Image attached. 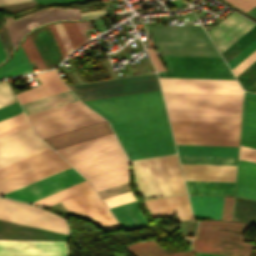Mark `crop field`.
Wrapping results in <instances>:
<instances>
[{
    "mask_svg": "<svg viewBox=\"0 0 256 256\" xmlns=\"http://www.w3.org/2000/svg\"><path fill=\"white\" fill-rule=\"evenodd\" d=\"M68 167L70 165L49 148L0 168V193L10 192ZM83 181L85 179L70 167L2 196L32 203L73 187ZM78 188L108 228L119 226V223L87 181L78 185ZM78 188L75 186L34 202V204L49 207L61 201L68 210L92 218L107 228Z\"/></svg>",
    "mask_w": 256,
    "mask_h": 256,
    "instance_id": "crop-field-1",
    "label": "crop field"
},
{
    "mask_svg": "<svg viewBox=\"0 0 256 256\" xmlns=\"http://www.w3.org/2000/svg\"><path fill=\"white\" fill-rule=\"evenodd\" d=\"M85 103L110 121L129 159L176 153L160 90Z\"/></svg>",
    "mask_w": 256,
    "mask_h": 256,
    "instance_id": "crop-field-2",
    "label": "crop field"
},
{
    "mask_svg": "<svg viewBox=\"0 0 256 256\" xmlns=\"http://www.w3.org/2000/svg\"><path fill=\"white\" fill-rule=\"evenodd\" d=\"M131 164L144 199L186 194L176 155L134 160Z\"/></svg>",
    "mask_w": 256,
    "mask_h": 256,
    "instance_id": "crop-field-3",
    "label": "crop field"
},
{
    "mask_svg": "<svg viewBox=\"0 0 256 256\" xmlns=\"http://www.w3.org/2000/svg\"><path fill=\"white\" fill-rule=\"evenodd\" d=\"M56 152L84 176L128 164L114 134Z\"/></svg>",
    "mask_w": 256,
    "mask_h": 256,
    "instance_id": "crop-field-4",
    "label": "crop field"
},
{
    "mask_svg": "<svg viewBox=\"0 0 256 256\" xmlns=\"http://www.w3.org/2000/svg\"><path fill=\"white\" fill-rule=\"evenodd\" d=\"M146 29L162 55L220 57L202 27L162 25Z\"/></svg>",
    "mask_w": 256,
    "mask_h": 256,
    "instance_id": "crop-field-5",
    "label": "crop field"
},
{
    "mask_svg": "<svg viewBox=\"0 0 256 256\" xmlns=\"http://www.w3.org/2000/svg\"><path fill=\"white\" fill-rule=\"evenodd\" d=\"M251 224L229 221H201L197 229V236L193 240L194 252L216 253L235 256H249L255 247L253 244L242 242V233Z\"/></svg>",
    "mask_w": 256,
    "mask_h": 256,
    "instance_id": "crop-field-6",
    "label": "crop field"
},
{
    "mask_svg": "<svg viewBox=\"0 0 256 256\" xmlns=\"http://www.w3.org/2000/svg\"><path fill=\"white\" fill-rule=\"evenodd\" d=\"M168 113L240 116L242 95L163 92Z\"/></svg>",
    "mask_w": 256,
    "mask_h": 256,
    "instance_id": "crop-field-7",
    "label": "crop field"
},
{
    "mask_svg": "<svg viewBox=\"0 0 256 256\" xmlns=\"http://www.w3.org/2000/svg\"><path fill=\"white\" fill-rule=\"evenodd\" d=\"M42 139L104 121L80 101L28 115Z\"/></svg>",
    "mask_w": 256,
    "mask_h": 256,
    "instance_id": "crop-field-8",
    "label": "crop field"
},
{
    "mask_svg": "<svg viewBox=\"0 0 256 256\" xmlns=\"http://www.w3.org/2000/svg\"><path fill=\"white\" fill-rule=\"evenodd\" d=\"M162 57L169 70L159 77L235 79L222 58Z\"/></svg>",
    "mask_w": 256,
    "mask_h": 256,
    "instance_id": "crop-field-9",
    "label": "crop field"
},
{
    "mask_svg": "<svg viewBox=\"0 0 256 256\" xmlns=\"http://www.w3.org/2000/svg\"><path fill=\"white\" fill-rule=\"evenodd\" d=\"M22 204L0 198V213ZM0 221L69 234L65 220L28 204L1 213Z\"/></svg>",
    "mask_w": 256,
    "mask_h": 256,
    "instance_id": "crop-field-10",
    "label": "crop field"
},
{
    "mask_svg": "<svg viewBox=\"0 0 256 256\" xmlns=\"http://www.w3.org/2000/svg\"><path fill=\"white\" fill-rule=\"evenodd\" d=\"M49 148L31 126L0 138V167Z\"/></svg>",
    "mask_w": 256,
    "mask_h": 256,
    "instance_id": "crop-field-11",
    "label": "crop field"
},
{
    "mask_svg": "<svg viewBox=\"0 0 256 256\" xmlns=\"http://www.w3.org/2000/svg\"><path fill=\"white\" fill-rule=\"evenodd\" d=\"M3 18L15 47L20 38L32 28L52 20L80 19V10L49 8L33 12L16 20H14L13 16Z\"/></svg>",
    "mask_w": 256,
    "mask_h": 256,
    "instance_id": "crop-field-12",
    "label": "crop field"
},
{
    "mask_svg": "<svg viewBox=\"0 0 256 256\" xmlns=\"http://www.w3.org/2000/svg\"><path fill=\"white\" fill-rule=\"evenodd\" d=\"M159 79L163 91L242 94L237 80Z\"/></svg>",
    "mask_w": 256,
    "mask_h": 256,
    "instance_id": "crop-field-13",
    "label": "crop field"
},
{
    "mask_svg": "<svg viewBox=\"0 0 256 256\" xmlns=\"http://www.w3.org/2000/svg\"><path fill=\"white\" fill-rule=\"evenodd\" d=\"M0 256H68L66 242L0 241Z\"/></svg>",
    "mask_w": 256,
    "mask_h": 256,
    "instance_id": "crop-field-14",
    "label": "crop field"
},
{
    "mask_svg": "<svg viewBox=\"0 0 256 256\" xmlns=\"http://www.w3.org/2000/svg\"><path fill=\"white\" fill-rule=\"evenodd\" d=\"M255 24L233 12L207 33L221 53Z\"/></svg>",
    "mask_w": 256,
    "mask_h": 256,
    "instance_id": "crop-field-15",
    "label": "crop field"
},
{
    "mask_svg": "<svg viewBox=\"0 0 256 256\" xmlns=\"http://www.w3.org/2000/svg\"><path fill=\"white\" fill-rule=\"evenodd\" d=\"M154 219L177 214L180 221L193 220L187 195L145 201Z\"/></svg>",
    "mask_w": 256,
    "mask_h": 256,
    "instance_id": "crop-field-16",
    "label": "crop field"
},
{
    "mask_svg": "<svg viewBox=\"0 0 256 256\" xmlns=\"http://www.w3.org/2000/svg\"><path fill=\"white\" fill-rule=\"evenodd\" d=\"M112 134L106 121L44 139L54 150Z\"/></svg>",
    "mask_w": 256,
    "mask_h": 256,
    "instance_id": "crop-field-17",
    "label": "crop field"
},
{
    "mask_svg": "<svg viewBox=\"0 0 256 256\" xmlns=\"http://www.w3.org/2000/svg\"><path fill=\"white\" fill-rule=\"evenodd\" d=\"M30 35L47 69L64 59L47 25L32 31Z\"/></svg>",
    "mask_w": 256,
    "mask_h": 256,
    "instance_id": "crop-field-18",
    "label": "crop field"
},
{
    "mask_svg": "<svg viewBox=\"0 0 256 256\" xmlns=\"http://www.w3.org/2000/svg\"><path fill=\"white\" fill-rule=\"evenodd\" d=\"M36 76L42 85L17 94L20 103L68 90L54 70L37 73Z\"/></svg>",
    "mask_w": 256,
    "mask_h": 256,
    "instance_id": "crop-field-19",
    "label": "crop field"
},
{
    "mask_svg": "<svg viewBox=\"0 0 256 256\" xmlns=\"http://www.w3.org/2000/svg\"><path fill=\"white\" fill-rule=\"evenodd\" d=\"M240 145L256 148V94L245 92Z\"/></svg>",
    "mask_w": 256,
    "mask_h": 256,
    "instance_id": "crop-field-20",
    "label": "crop field"
},
{
    "mask_svg": "<svg viewBox=\"0 0 256 256\" xmlns=\"http://www.w3.org/2000/svg\"><path fill=\"white\" fill-rule=\"evenodd\" d=\"M189 198L196 220L221 219L223 196H189Z\"/></svg>",
    "mask_w": 256,
    "mask_h": 256,
    "instance_id": "crop-field-21",
    "label": "crop field"
},
{
    "mask_svg": "<svg viewBox=\"0 0 256 256\" xmlns=\"http://www.w3.org/2000/svg\"><path fill=\"white\" fill-rule=\"evenodd\" d=\"M236 195L256 199V163L239 159Z\"/></svg>",
    "mask_w": 256,
    "mask_h": 256,
    "instance_id": "crop-field-22",
    "label": "crop field"
},
{
    "mask_svg": "<svg viewBox=\"0 0 256 256\" xmlns=\"http://www.w3.org/2000/svg\"><path fill=\"white\" fill-rule=\"evenodd\" d=\"M111 211L126 230L132 231L140 227L149 226L139 212L137 201L111 208Z\"/></svg>",
    "mask_w": 256,
    "mask_h": 256,
    "instance_id": "crop-field-23",
    "label": "crop field"
},
{
    "mask_svg": "<svg viewBox=\"0 0 256 256\" xmlns=\"http://www.w3.org/2000/svg\"><path fill=\"white\" fill-rule=\"evenodd\" d=\"M78 101V99L71 93L70 90L22 103V107L26 113L32 114L49 108L57 107L67 103Z\"/></svg>",
    "mask_w": 256,
    "mask_h": 256,
    "instance_id": "crop-field-24",
    "label": "crop field"
},
{
    "mask_svg": "<svg viewBox=\"0 0 256 256\" xmlns=\"http://www.w3.org/2000/svg\"><path fill=\"white\" fill-rule=\"evenodd\" d=\"M96 191L128 181V165L86 176Z\"/></svg>",
    "mask_w": 256,
    "mask_h": 256,
    "instance_id": "crop-field-25",
    "label": "crop field"
},
{
    "mask_svg": "<svg viewBox=\"0 0 256 256\" xmlns=\"http://www.w3.org/2000/svg\"><path fill=\"white\" fill-rule=\"evenodd\" d=\"M179 155L237 156L238 147L176 145Z\"/></svg>",
    "mask_w": 256,
    "mask_h": 256,
    "instance_id": "crop-field-26",
    "label": "crop field"
},
{
    "mask_svg": "<svg viewBox=\"0 0 256 256\" xmlns=\"http://www.w3.org/2000/svg\"><path fill=\"white\" fill-rule=\"evenodd\" d=\"M189 193L234 195L235 183L185 181Z\"/></svg>",
    "mask_w": 256,
    "mask_h": 256,
    "instance_id": "crop-field-27",
    "label": "crop field"
},
{
    "mask_svg": "<svg viewBox=\"0 0 256 256\" xmlns=\"http://www.w3.org/2000/svg\"><path fill=\"white\" fill-rule=\"evenodd\" d=\"M33 72L22 48L20 47L17 52L9 59V61L0 67V78L3 76H13L25 72Z\"/></svg>",
    "mask_w": 256,
    "mask_h": 256,
    "instance_id": "crop-field-28",
    "label": "crop field"
},
{
    "mask_svg": "<svg viewBox=\"0 0 256 256\" xmlns=\"http://www.w3.org/2000/svg\"><path fill=\"white\" fill-rule=\"evenodd\" d=\"M133 256H194L192 251L167 254L154 241L136 243L126 247Z\"/></svg>",
    "mask_w": 256,
    "mask_h": 256,
    "instance_id": "crop-field-29",
    "label": "crop field"
},
{
    "mask_svg": "<svg viewBox=\"0 0 256 256\" xmlns=\"http://www.w3.org/2000/svg\"><path fill=\"white\" fill-rule=\"evenodd\" d=\"M16 102V99L7 83H0V107ZM22 112L18 102L8 105L0 109V120Z\"/></svg>",
    "mask_w": 256,
    "mask_h": 256,
    "instance_id": "crop-field-30",
    "label": "crop field"
},
{
    "mask_svg": "<svg viewBox=\"0 0 256 256\" xmlns=\"http://www.w3.org/2000/svg\"><path fill=\"white\" fill-rule=\"evenodd\" d=\"M255 39L256 25L252 27L248 32H246L242 37H240L236 42H234L230 47H228L224 52L221 53L226 63Z\"/></svg>",
    "mask_w": 256,
    "mask_h": 256,
    "instance_id": "crop-field-31",
    "label": "crop field"
},
{
    "mask_svg": "<svg viewBox=\"0 0 256 256\" xmlns=\"http://www.w3.org/2000/svg\"><path fill=\"white\" fill-rule=\"evenodd\" d=\"M24 112L0 121V137L29 126Z\"/></svg>",
    "mask_w": 256,
    "mask_h": 256,
    "instance_id": "crop-field-32",
    "label": "crop field"
},
{
    "mask_svg": "<svg viewBox=\"0 0 256 256\" xmlns=\"http://www.w3.org/2000/svg\"><path fill=\"white\" fill-rule=\"evenodd\" d=\"M181 163L236 165L237 157L179 156Z\"/></svg>",
    "mask_w": 256,
    "mask_h": 256,
    "instance_id": "crop-field-33",
    "label": "crop field"
},
{
    "mask_svg": "<svg viewBox=\"0 0 256 256\" xmlns=\"http://www.w3.org/2000/svg\"><path fill=\"white\" fill-rule=\"evenodd\" d=\"M240 81L243 89L255 92L256 91V61L248 66L244 71L236 76Z\"/></svg>",
    "mask_w": 256,
    "mask_h": 256,
    "instance_id": "crop-field-34",
    "label": "crop field"
},
{
    "mask_svg": "<svg viewBox=\"0 0 256 256\" xmlns=\"http://www.w3.org/2000/svg\"><path fill=\"white\" fill-rule=\"evenodd\" d=\"M21 46L30 63L35 62L38 70L46 69L30 35L24 40Z\"/></svg>",
    "mask_w": 256,
    "mask_h": 256,
    "instance_id": "crop-field-35",
    "label": "crop field"
},
{
    "mask_svg": "<svg viewBox=\"0 0 256 256\" xmlns=\"http://www.w3.org/2000/svg\"><path fill=\"white\" fill-rule=\"evenodd\" d=\"M170 119L240 122V117L168 114Z\"/></svg>",
    "mask_w": 256,
    "mask_h": 256,
    "instance_id": "crop-field-36",
    "label": "crop field"
},
{
    "mask_svg": "<svg viewBox=\"0 0 256 256\" xmlns=\"http://www.w3.org/2000/svg\"><path fill=\"white\" fill-rule=\"evenodd\" d=\"M62 24L73 48L85 43L75 23L62 22Z\"/></svg>",
    "mask_w": 256,
    "mask_h": 256,
    "instance_id": "crop-field-37",
    "label": "crop field"
},
{
    "mask_svg": "<svg viewBox=\"0 0 256 256\" xmlns=\"http://www.w3.org/2000/svg\"><path fill=\"white\" fill-rule=\"evenodd\" d=\"M134 200L135 198L132 195L131 191L104 199L105 203L108 205L109 208L118 206L127 202H131Z\"/></svg>",
    "mask_w": 256,
    "mask_h": 256,
    "instance_id": "crop-field-38",
    "label": "crop field"
},
{
    "mask_svg": "<svg viewBox=\"0 0 256 256\" xmlns=\"http://www.w3.org/2000/svg\"><path fill=\"white\" fill-rule=\"evenodd\" d=\"M256 49V40L252 42L248 47H246L242 52H240L236 57H234L230 62H228V66L232 70L236 67L241 61H243L248 55H250Z\"/></svg>",
    "mask_w": 256,
    "mask_h": 256,
    "instance_id": "crop-field-39",
    "label": "crop field"
},
{
    "mask_svg": "<svg viewBox=\"0 0 256 256\" xmlns=\"http://www.w3.org/2000/svg\"><path fill=\"white\" fill-rule=\"evenodd\" d=\"M129 190H130V188H129V184L127 182V183L117 185V186H114V187H111V188H108L105 190L98 191V194L101 196L102 199H104V198H107V197H110V196H113L116 194H120V193L129 191Z\"/></svg>",
    "mask_w": 256,
    "mask_h": 256,
    "instance_id": "crop-field-40",
    "label": "crop field"
},
{
    "mask_svg": "<svg viewBox=\"0 0 256 256\" xmlns=\"http://www.w3.org/2000/svg\"><path fill=\"white\" fill-rule=\"evenodd\" d=\"M234 197L224 196L222 219H231Z\"/></svg>",
    "mask_w": 256,
    "mask_h": 256,
    "instance_id": "crop-field-41",
    "label": "crop field"
},
{
    "mask_svg": "<svg viewBox=\"0 0 256 256\" xmlns=\"http://www.w3.org/2000/svg\"><path fill=\"white\" fill-rule=\"evenodd\" d=\"M55 26H56V29H57V31L59 33V36H60V40H61V42H62V44H63L67 54L70 53L73 49H72V47H71V45H70V43L68 41V38L66 36V33H65L64 29H63L62 24L61 23H57V24H55Z\"/></svg>",
    "mask_w": 256,
    "mask_h": 256,
    "instance_id": "crop-field-42",
    "label": "crop field"
},
{
    "mask_svg": "<svg viewBox=\"0 0 256 256\" xmlns=\"http://www.w3.org/2000/svg\"><path fill=\"white\" fill-rule=\"evenodd\" d=\"M244 11H249L256 6V0H227Z\"/></svg>",
    "mask_w": 256,
    "mask_h": 256,
    "instance_id": "crop-field-43",
    "label": "crop field"
},
{
    "mask_svg": "<svg viewBox=\"0 0 256 256\" xmlns=\"http://www.w3.org/2000/svg\"><path fill=\"white\" fill-rule=\"evenodd\" d=\"M239 158L256 162V149L240 146Z\"/></svg>",
    "mask_w": 256,
    "mask_h": 256,
    "instance_id": "crop-field-44",
    "label": "crop field"
},
{
    "mask_svg": "<svg viewBox=\"0 0 256 256\" xmlns=\"http://www.w3.org/2000/svg\"><path fill=\"white\" fill-rule=\"evenodd\" d=\"M255 60H256V50L250 56H248L243 62H241L236 68L232 70L235 76Z\"/></svg>",
    "mask_w": 256,
    "mask_h": 256,
    "instance_id": "crop-field-45",
    "label": "crop field"
},
{
    "mask_svg": "<svg viewBox=\"0 0 256 256\" xmlns=\"http://www.w3.org/2000/svg\"><path fill=\"white\" fill-rule=\"evenodd\" d=\"M106 15H107V13L105 12V10L101 9V10H97V11L81 13V19L102 17V16H106Z\"/></svg>",
    "mask_w": 256,
    "mask_h": 256,
    "instance_id": "crop-field-46",
    "label": "crop field"
},
{
    "mask_svg": "<svg viewBox=\"0 0 256 256\" xmlns=\"http://www.w3.org/2000/svg\"><path fill=\"white\" fill-rule=\"evenodd\" d=\"M76 25H77L79 31L81 32L85 42L89 41L90 39L86 35L85 30L92 28L90 22H79V23H76Z\"/></svg>",
    "mask_w": 256,
    "mask_h": 256,
    "instance_id": "crop-field-47",
    "label": "crop field"
},
{
    "mask_svg": "<svg viewBox=\"0 0 256 256\" xmlns=\"http://www.w3.org/2000/svg\"><path fill=\"white\" fill-rule=\"evenodd\" d=\"M147 51L149 52V56L156 67L157 71H162L164 68L162 67L158 57L156 56L155 52L153 51L152 47L147 48Z\"/></svg>",
    "mask_w": 256,
    "mask_h": 256,
    "instance_id": "crop-field-48",
    "label": "crop field"
},
{
    "mask_svg": "<svg viewBox=\"0 0 256 256\" xmlns=\"http://www.w3.org/2000/svg\"><path fill=\"white\" fill-rule=\"evenodd\" d=\"M48 26H49V28H50V30H51V32H52V34H53V36H54V38H55V40H56V42H57L59 48H60V50H61V52H62V54H63V56H64V58H65V56H66L67 54H66V52H65V50H64V48H63V46H62V44H61V42H60V40H59L58 33H57V31H56L54 25H53V24H50V25H48Z\"/></svg>",
    "mask_w": 256,
    "mask_h": 256,
    "instance_id": "crop-field-49",
    "label": "crop field"
},
{
    "mask_svg": "<svg viewBox=\"0 0 256 256\" xmlns=\"http://www.w3.org/2000/svg\"><path fill=\"white\" fill-rule=\"evenodd\" d=\"M38 4L42 3H49V2H62V3H72L77 1H84V0H36Z\"/></svg>",
    "mask_w": 256,
    "mask_h": 256,
    "instance_id": "crop-field-50",
    "label": "crop field"
},
{
    "mask_svg": "<svg viewBox=\"0 0 256 256\" xmlns=\"http://www.w3.org/2000/svg\"><path fill=\"white\" fill-rule=\"evenodd\" d=\"M28 1H34V0H0V6L18 3V2H28Z\"/></svg>",
    "mask_w": 256,
    "mask_h": 256,
    "instance_id": "crop-field-51",
    "label": "crop field"
},
{
    "mask_svg": "<svg viewBox=\"0 0 256 256\" xmlns=\"http://www.w3.org/2000/svg\"><path fill=\"white\" fill-rule=\"evenodd\" d=\"M5 57H6L5 52L3 51L0 45V62H2L5 59Z\"/></svg>",
    "mask_w": 256,
    "mask_h": 256,
    "instance_id": "crop-field-52",
    "label": "crop field"
},
{
    "mask_svg": "<svg viewBox=\"0 0 256 256\" xmlns=\"http://www.w3.org/2000/svg\"><path fill=\"white\" fill-rule=\"evenodd\" d=\"M197 256H225V255H216V254H203V253H195Z\"/></svg>",
    "mask_w": 256,
    "mask_h": 256,
    "instance_id": "crop-field-53",
    "label": "crop field"
},
{
    "mask_svg": "<svg viewBox=\"0 0 256 256\" xmlns=\"http://www.w3.org/2000/svg\"><path fill=\"white\" fill-rule=\"evenodd\" d=\"M254 8V7H253ZM248 13H250V14H255L256 13V7L254 8V9H252V10H250Z\"/></svg>",
    "mask_w": 256,
    "mask_h": 256,
    "instance_id": "crop-field-54",
    "label": "crop field"
},
{
    "mask_svg": "<svg viewBox=\"0 0 256 256\" xmlns=\"http://www.w3.org/2000/svg\"><path fill=\"white\" fill-rule=\"evenodd\" d=\"M254 16H256V14Z\"/></svg>",
    "mask_w": 256,
    "mask_h": 256,
    "instance_id": "crop-field-55",
    "label": "crop field"
}]
</instances>
